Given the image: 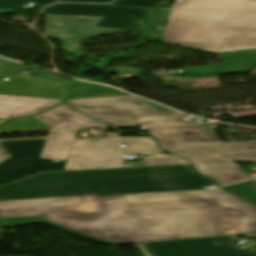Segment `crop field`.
Returning a JSON list of instances; mask_svg holds the SVG:
<instances>
[{"label":"crop field","instance_id":"crop-field-1","mask_svg":"<svg viewBox=\"0 0 256 256\" xmlns=\"http://www.w3.org/2000/svg\"><path fill=\"white\" fill-rule=\"evenodd\" d=\"M190 165L55 171L0 186V227L47 223L109 245L256 233V206Z\"/></svg>","mask_w":256,"mask_h":256},{"label":"crop field","instance_id":"crop-field-2","mask_svg":"<svg viewBox=\"0 0 256 256\" xmlns=\"http://www.w3.org/2000/svg\"><path fill=\"white\" fill-rule=\"evenodd\" d=\"M78 131L67 161L56 163L39 158L46 139L1 142L12 157L0 164V185L54 170L189 164L185 158L171 156L143 158L136 165H125L115 143L118 133H107L105 138L76 139Z\"/></svg>","mask_w":256,"mask_h":256},{"label":"crop field","instance_id":"crop-field-3","mask_svg":"<svg viewBox=\"0 0 256 256\" xmlns=\"http://www.w3.org/2000/svg\"><path fill=\"white\" fill-rule=\"evenodd\" d=\"M153 20L233 22L217 53L256 49V0H184Z\"/></svg>","mask_w":256,"mask_h":256},{"label":"crop field","instance_id":"crop-field-4","mask_svg":"<svg viewBox=\"0 0 256 256\" xmlns=\"http://www.w3.org/2000/svg\"><path fill=\"white\" fill-rule=\"evenodd\" d=\"M68 107L116 126L183 123L180 113L158 112L130 96L74 99Z\"/></svg>","mask_w":256,"mask_h":256},{"label":"crop field","instance_id":"crop-field-5","mask_svg":"<svg viewBox=\"0 0 256 256\" xmlns=\"http://www.w3.org/2000/svg\"><path fill=\"white\" fill-rule=\"evenodd\" d=\"M158 139L159 147L168 153H209L256 150V141L222 143L214 130L203 124H184L146 127Z\"/></svg>","mask_w":256,"mask_h":256},{"label":"crop field","instance_id":"crop-field-6","mask_svg":"<svg viewBox=\"0 0 256 256\" xmlns=\"http://www.w3.org/2000/svg\"><path fill=\"white\" fill-rule=\"evenodd\" d=\"M155 9L132 8L96 4H55L46 7L42 14H69L102 16L96 27L138 30L146 29L142 21L151 18Z\"/></svg>","mask_w":256,"mask_h":256},{"label":"crop field","instance_id":"crop-field-7","mask_svg":"<svg viewBox=\"0 0 256 256\" xmlns=\"http://www.w3.org/2000/svg\"><path fill=\"white\" fill-rule=\"evenodd\" d=\"M249 235V234H246ZM191 239L161 243L137 244L144 256H256L231 244L232 237Z\"/></svg>","mask_w":256,"mask_h":256},{"label":"crop field","instance_id":"crop-field-8","mask_svg":"<svg viewBox=\"0 0 256 256\" xmlns=\"http://www.w3.org/2000/svg\"><path fill=\"white\" fill-rule=\"evenodd\" d=\"M40 17H46L44 35L63 40V50L75 57H81V39L125 32L95 28L102 17L68 15H41Z\"/></svg>","mask_w":256,"mask_h":256},{"label":"crop field","instance_id":"crop-field-9","mask_svg":"<svg viewBox=\"0 0 256 256\" xmlns=\"http://www.w3.org/2000/svg\"><path fill=\"white\" fill-rule=\"evenodd\" d=\"M231 23L169 21L163 41L216 53Z\"/></svg>","mask_w":256,"mask_h":256},{"label":"crop field","instance_id":"crop-field-10","mask_svg":"<svg viewBox=\"0 0 256 256\" xmlns=\"http://www.w3.org/2000/svg\"><path fill=\"white\" fill-rule=\"evenodd\" d=\"M30 68L31 67L0 58V78L10 76L18 71ZM67 92V90L23 78L21 76H13L8 81L0 80V93L3 94L64 99Z\"/></svg>","mask_w":256,"mask_h":256},{"label":"crop field","instance_id":"crop-field-11","mask_svg":"<svg viewBox=\"0 0 256 256\" xmlns=\"http://www.w3.org/2000/svg\"><path fill=\"white\" fill-rule=\"evenodd\" d=\"M222 63L187 67L190 76L247 72L256 65V50L219 54Z\"/></svg>","mask_w":256,"mask_h":256},{"label":"crop field","instance_id":"crop-field-12","mask_svg":"<svg viewBox=\"0 0 256 256\" xmlns=\"http://www.w3.org/2000/svg\"><path fill=\"white\" fill-rule=\"evenodd\" d=\"M62 101L0 95V117L17 118L42 112Z\"/></svg>","mask_w":256,"mask_h":256},{"label":"crop field","instance_id":"crop-field-13","mask_svg":"<svg viewBox=\"0 0 256 256\" xmlns=\"http://www.w3.org/2000/svg\"><path fill=\"white\" fill-rule=\"evenodd\" d=\"M36 117L53 129L108 126L82 115L63 104Z\"/></svg>","mask_w":256,"mask_h":256},{"label":"crop field","instance_id":"crop-field-14","mask_svg":"<svg viewBox=\"0 0 256 256\" xmlns=\"http://www.w3.org/2000/svg\"><path fill=\"white\" fill-rule=\"evenodd\" d=\"M194 168L201 174L214 178L220 186L251 178L234 162L198 164Z\"/></svg>","mask_w":256,"mask_h":256},{"label":"crop field","instance_id":"crop-field-15","mask_svg":"<svg viewBox=\"0 0 256 256\" xmlns=\"http://www.w3.org/2000/svg\"><path fill=\"white\" fill-rule=\"evenodd\" d=\"M77 130L71 131H50L41 156L46 159H54L56 161L66 160L68 151ZM40 139V138H30ZM11 140H28V139H11ZM11 140H0V141H11Z\"/></svg>","mask_w":256,"mask_h":256},{"label":"crop field","instance_id":"crop-field-16","mask_svg":"<svg viewBox=\"0 0 256 256\" xmlns=\"http://www.w3.org/2000/svg\"><path fill=\"white\" fill-rule=\"evenodd\" d=\"M118 144L126 145L121 148L124 154L156 156L163 153L151 137H119Z\"/></svg>","mask_w":256,"mask_h":256},{"label":"crop field","instance_id":"crop-field-17","mask_svg":"<svg viewBox=\"0 0 256 256\" xmlns=\"http://www.w3.org/2000/svg\"><path fill=\"white\" fill-rule=\"evenodd\" d=\"M187 157L192 164L223 162V161H248L256 160V152L219 153L205 155L182 156Z\"/></svg>","mask_w":256,"mask_h":256},{"label":"crop field","instance_id":"crop-field-18","mask_svg":"<svg viewBox=\"0 0 256 256\" xmlns=\"http://www.w3.org/2000/svg\"><path fill=\"white\" fill-rule=\"evenodd\" d=\"M126 95L116 89L107 88L102 85L85 83L78 87H74L68 99L88 98V97H104V96H120Z\"/></svg>","mask_w":256,"mask_h":256},{"label":"crop field","instance_id":"crop-field-19","mask_svg":"<svg viewBox=\"0 0 256 256\" xmlns=\"http://www.w3.org/2000/svg\"><path fill=\"white\" fill-rule=\"evenodd\" d=\"M51 129L35 117L11 120L0 125L1 131Z\"/></svg>","mask_w":256,"mask_h":256},{"label":"crop field","instance_id":"crop-field-20","mask_svg":"<svg viewBox=\"0 0 256 256\" xmlns=\"http://www.w3.org/2000/svg\"><path fill=\"white\" fill-rule=\"evenodd\" d=\"M224 188L256 203V179Z\"/></svg>","mask_w":256,"mask_h":256},{"label":"crop field","instance_id":"crop-field-21","mask_svg":"<svg viewBox=\"0 0 256 256\" xmlns=\"http://www.w3.org/2000/svg\"><path fill=\"white\" fill-rule=\"evenodd\" d=\"M55 1L56 0H0V14L13 13L20 6L28 2H33L45 6Z\"/></svg>","mask_w":256,"mask_h":256},{"label":"crop field","instance_id":"crop-field-22","mask_svg":"<svg viewBox=\"0 0 256 256\" xmlns=\"http://www.w3.org/2000/svg\"><path fill=\"white\" fill-rule=\"evenodd\" d=\"M163 1L165 0H118L112 5L154 8L156 5L160 4Z\"/></svg>","mask_w":256,"mask_h":256},{"label":"crop field","instance_id":"crop-field-23","mask_svg":"<svg viewBox=\"0 0 256 256\" xmlns=\"http://www.w3.org/2000/svg\"><path fill=\"white\" fill-rule=\"evenodd\" d=\"M11 157L4 147L0 144V163Z\"/></svg>","mask_w":256,"mask_h":256},{"label":"crop field","instance_id":"crop-field-24","mask_svg":"<svg viewBox=\"0 0 256 256\" xmlns=\"http://www.w3.org/2000/svg\"><path fill=\"white\" fill-rule=\"evenodd\" d=\"M164 33H159V35L155 34H145L143 35L145 38L153 39V40H158L162 41Z\"/></svg>","mask_w":256,"mask_h":256},{"label":"crop field","instance_id":"crop-field-25","mask_svg":"<svg viewBox=\"0 0 256 256\" xmlns=\"http://www.w3.org/2000/svg\"><path fill=\"white\" fill-rule=\"evenodd\" d=\"M57 1L110 2L112 0H57Z\"/></svg>","mask_w":256,"mask_h":256},{"label":"crop field","instance_id":"crop-field-26","mask_svg":"<svg viewBox=\"0 0 256 256\" xmlns=\"http://www.w3.org/2000/svg\"><path fill=\"white\" fill-rule=\"evenodd\" d=\"M151 21H152V20H147V21H145V22L148 23V24L150 25V27H162V28H163L162 31H164L165 25L153 24Z\"/></svg>","mask_w":256,"mask_h":256},{"label":"crop field","instance_id":"crop-field-27","mask_svg":"<svg viewBox=\"0 0 256 256\" xmlns=\"http://www.w3.org/2000/svg\"><path fill=\"white\" fill-rule=\"evenodd\" d=\"M248 237H250V238H256V234H251V235H249Z\"/></svg>","mask_w":256,"mask_h":256},{"label":"crop field","instance_id":"crop-field-28","mask_svg":"<svg viewBox=\"0 0 256 256\" xmlns=\"http://www.w3.org/2000/svg\"><path fill=\"white\" fill-rule=\"evenodd\" d=\"M5 120H7V119H1V118H0V123L3 122V121H5Z\"/></svg>","mask_w":256,"mask_h":256}]
</instances>
